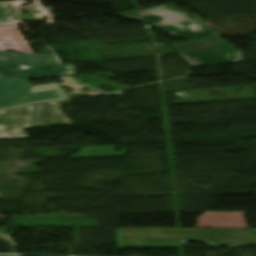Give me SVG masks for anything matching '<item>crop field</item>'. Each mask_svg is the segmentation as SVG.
<instances>
[{
	"label": "crop field",
	"instance_id": "obj_11",
	"mask_svg": "<svg viewBox=\"0 0 256 256\" xmlns=\"http://www.w3.org/2000/svg\"><path fill=\"white\" fill-rule=\"evenodd\" d=\"M179 54L219 50V39L172 43Z\"/></svg>",
	"mask_w": 256,
	"mask_h": 256
},
{
	"label": "crop field",
	"instance_id": "obj_8",
	"mask_svg": "<svg viewBox=\"0 0 256 256\" xmlns=\"http://www.w3.org/2000/svg\"><path fill=\"white\" fill-rule=\"evenodd\" d=\"M243 50L214 51L180 55L192 66L242 62Z\"/></svg>",
	"mask_w": 256,
	"mask_h": 256
},
{
	"label": "crop field",
	"instance_id": "obj_14",
	"mask_svg": "<svg viewBox=\"0 0 256 256\" xmlns=\"http://www.w3.org/2000/svg\"><path fill=\"white\" fill-rule=\"evenodd\" d=\"M0 253L16 254L14 246L6 239L0 236Z\"/></svg>",
	"mask_w": 256,
	"mask_h": 256
},
{
	"label": "crop field",
	"instance_id": "obj_10",
	"mask_svg": "<svg viewBox=\"0 0 256 256\" xmlns=\"http://www.w3.org/2000/svg\"><path fill=\"white\" fill-rule=\"evenodd\" d=\"M104 75V74H101V76ZM110 76H103L105 77L106 79L108 78H112L114 77L113 75L109 74ZM91 78H88V77H84V76H80L79 78L81 79H85V80H88L90 81L89 83L87 84H82V85H79L78 83H76L74 80L78 79L76 77H67V78H60L63 82H65L64 84H60L61 87H72L74 89H78V90H83V88H87V89H92L91 87L89 86H93V87H100V86H105V87H109V88H112V89H116V90H119V89H122V88H127L128 86H124V85H121V84H117V83H113V82H109L107 80H103V79H100V78H97V77H94L92 75H90Z\"/></svg>",
	"mask_w": 256,
	"mask_h": 256
},
{
	"label": "crop field",
	"instance_id": "obj_13",
	"mask_svg": "<svg viewBox=\"0 0 256 256\" xmlns=\"http://www.w3.org/2000/svg\"><path fill=\"white\" fill-rule=\"evenodd\" d=\"M12 22H16L13 4H0V24Z\"/></svg>",
	"mask_w": 256,
	"mask_h": 256
},
{
	"label": "crop field",
	"instance_id": "obj_7",
	"mask_svg": "<svg viewBox=\"0 0 256 256\" xmlns=\"http://www.w3.org/2000/svg\"><path fill=\"white\" fill-rule=\"evenodd\" d=\"M243 212H205L196 228H248Z\"/></svg>",
	"mask_w": 256,
	"mask_h": 256
},
{
	"label": "crop field",
	"instance_id": "obj_3",
	"mask_svg": "<svg viewBox=\"0 0 256 256\" xmlns=\"http://www.w3.org/2000/svg\"><path fill=\"white\" fill-rule=\"evenodd\" d=\"M28 80L0 78V108L32 103L40 100L59 99L55 90L30 94Z\"/></svg>",
	"mask_w": 256,
	"mask_h": 256
},
{
	"label": "crop field",
	"instance_id": "obj_1",
	"mask_svg": "<svg viewBox=\"0 0 256 256\" xmlns=\"http://www.w3.org/2000/svg\"><path fill=\"white\" fill-rule=\"evenodd\" d=\"M181 240H200L213 248L250 246L256 244V229H117L118 248L183 247Z\"/></svg>",
	"mask_w": 256,
	"mask_h": 256
},
{
	"label": "crop field",
	"instance_id": "obj_9",
	"mask_svg": "<svg viewBox=\"0 0 256 256\" xmlns=\"http://www.w3.org/2000/svg\"><path fill=\"white\" fill-rule=\"evenodd\" d=\"M0 59L8 60L12 64L17 65H51V64H61L55 53L35 55L27 53H9L6 54L5 51H0Z\"/></svg>",
	"mask_w": 256,
	"mask_h": 256
},
{
	"label": "crop field",
	"instance_id": "obj_15",
	"mask_svg": "<svg viewBox=\"0 0 256 256\" xmlns=\"http://www.w3.org/2000/svg\"><path fill=\"white\" fill-rule=\"evenodd\" d=\"M51 89H55L57 91V93L60 95L61 98L66 97L56 86V84L54 85H42V86H36L32 88V92H39V91H45V90H51Z\"/></svg>",
	"mask_w": 256,
	"mask_h": 256
},
{
	"label": "crop field",
	"instance_id": "obj_2",
	"mask_svg": "<svg viewBox=\"0 0 256 256\" xmlns=\"http://www.w3.org/2000/svg\"><path fill=\"white\" fill-rule=\"evenodd\" d=\"M120 15L151 23L177 38L197 40L221 37L195 16L176 9L173 3Z\"/></svg>",
	"mask_w": 256,
	"mask_h": 256
},
{
	"label": "crop field",
	"instance_id": "obj_5",
	"mask_svg": "<svg viewBox=\"0 0 256 256\" xmlns=\"http://www.w3.org/2000/svg\"><path fill=\"white\" fill-rule=\"evenodd\" d=\"M74 71L75 66L71 64L33 67L0 63V77L23 79L66 77L74 76Z\"/></svg>",
	"mask_w": 256,
	"mask_h": 256
},
{
	"label": "crop field",
	"instance_id": "obj_12",
	"mask_svg": "<svg viewBox=\"0 0 256 256\" xmlns=\"http://www.w3.org/2000/svg\"><path fill=\"white\" fill-rule=\"evenodd\" d=\"M119 146L122 152L115 151ZM100 156H126V150L122 145L83 147L77 155H72L71 159Z\"/></svg>",
	"mask_w": 256,
	"mask_h": 256
},
{
	"label": "crop field",
	"instance_id": "obj_16",
	"mask_svg": "<svg viewBox=\"0 0 256 256\" xmlns=\"http://www.w3.org/2000/svg\"><path fill=\"white\" fill-rule=\"evenodd\" d=\"M0 62H3V63H9L8 61H0Z\"/></svg>",
	"mask_w": 256,
	"mask_h": 256
},
{
	"label": "crop field",
	"instance_id": "obj_6",
	"mask_svg": "<svg viewBox=\"0 0 256 256\" xmlns=\"http://www.w3.org/2000/svg\"><path fill=\"white\" fill-rule=\"evenodd\" d=\"M66 103H70L69 100L37 103L32 127L72 124L61 111L60 105Z\"/></svg>",
	"mask_w": 256,
	"mask_h": 256
},
{
	"label": "crop field",
	"instance_id": "obj_4",
	"mask_svg": "<svg viewBox=\"0 0 256 256\" xmlns=\"http://www.w3.org/2000/svg\"><path fill=\"white\" fill-rule=\"evenodd\" d=\"M34 105L0 111V139L29 138L23 128L30 127Z\"/></svg>",
	"mask_w": 256,
	"mask_h": 256
}]
</instances>
